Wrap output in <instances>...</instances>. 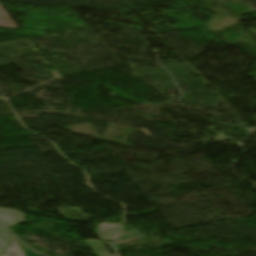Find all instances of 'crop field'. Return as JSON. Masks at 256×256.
I'll return each mask as SVG.
<instances>
[{"label":"crop field","instance_id":"crop-field-3","mask_svg":"<svg viewBox=\"0 0 256 256\" xmlns=\"http://www.w3.org/2000/svg\"><path fill=\"white\" fill-rule=\"evenodd\" d=\"M0 256H24L13 235L9 238L5 253Z\"/></svg>","mask_w":256,"mask_h":256},{"label":"crop field","instance_id":"crop-field-1","mask_svg":"<svg viewBox=\"0 0 256 256\" xmlns=\"http://www.w3.org/2000/svg\"><path fill=\"white\" fill-rule=\"evenodd\" d=\"M26 217L27 216L19 211L0 208V225H4L8 228L13 227Z\"/></svg>","mask_w":256,"mask_h":256},{"label":"crop field","instance_id":"crop-field-2","mask_svg":"<svg viewBox=\"0 0 256 256\" xmlns=\"http://www.w3.org/2000/svg\"><path fill=\"white\" fill-rule=\"evenodd\" d=\"M143 238H147V237L139 233L137 230L133 229V230L119 233L110 242L114 243L115 245H119V244L131 242V241H135Z\"/></svg>","mask_w":256,"mask_h":256},{"label":"crop field","instance_id":"crop-field-6","mask_svg":"<svg viewBox=\"0 0 256 256\" xmlns=\"http://www.w3.org/2000/svg\"><path fill=\"white\" fill-rule=\"evenodd\" d=\"M17 242L21 247L22 251L24 252L25 256H39L36 253H34L31 249H29L27 246H25L23 243H21L19 240H17Z\"/></svg>","mask_w":256,"mask_h":256},{"label":"crop field","instance_id":"crop-field-4","mask_svg":"<svg viewBox=\"0 0 256 256\" xmlns=\"http://www.w3.org/2000/svg\"><path fill=\"white\" fill-rule=\"evenodd\" d=\"M117 231H119L120 229V225L117 224H109V223H102L98 228L101 230L97 235L99 236V238L107 240L109 237H111L113 234L112 232L117 228ZM115 232V233H116ZM114 233V234H115ZM112 234V235H111Z\"/></svg>","mask_w":256,"mask_h":256},{"label":"crop field","instance_id":"crop-field-5","mask_svg":"<svg viewBox=\"0 0 256 256\" xmlns=\"http://www.w3.org/2000/svg\"><path fill=\"white\" fill-rule=\"evenodd\" d=\"M7 233H8L7 230L0 227V253L4 251V248L7 242V236H6Z\"/></svg>","mask_w":256,"mask_h":256}]
</instances>
